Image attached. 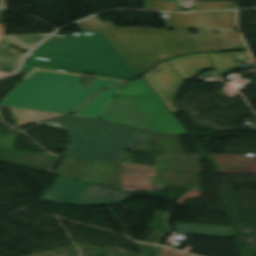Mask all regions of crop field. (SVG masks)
Wrapping results in <instances>:
<instances>
[{
	"mask_svg": "<svg viewBox=\"0 0 256 256\" xmlns=\"http://www.w3.org/2000/svg\"><path fill=\"white\" fill-rule=\"evenodd\" d=\"M10 44L17 46L26 51L30 50L23 45L15 42L14 40L4 36L0 41V71L13 72L18 66V62L21 55L17 56L14 54L3 52Z\"/></svg>",
	"mask_w": 256,
	"mask_h": 256,
	"instance_id": "13",
	"label": "crop field"
},
{
	"mask_svg": "<svg viewBox=\"0 0 256 256\" xmlns=\"http://www.w3.org/2000/svg\"><path fill=\"white\" fill-rule=\"evenodd\" d=\"M164 21L168 30L173 27L176 30H187L197 28L200 31L206 30H235V11L197 13V14H167Z\"/></svg>",
	"mask_w": 256,
	"mask_h": 256,
	"instance_id": "5",
	"label": "crop field"
},
{
	"mask_svg": "<svg viewBox=\"0 0 256 256\" xmlns=\"http://www.w3.org/2000/svg\"><path fill=\"white\" fill-rule=\"evenodd\" d=\"M4 35H0V40H1V38L3 37Z\"/></svg>",
	"mask_w": 256,
	"mask_h": 256,
	"instance_id": "25",
	"label": "crop field"
},
{
	"mask_svg": "<svg viewBox=\"0 0 256 256\" xmlns=\"http://www.w3.org/2000/svg\"><path fill=\"white\" fill-rule=\"evenodd\" d=\"M101 119L148 130L132 97H116Z\"/></svg>",
	"mask_w": 256,
	"mask_h": 256,
	"instance_id": "8",
	"label": "crop field"
},
{
	"mask_svg": "<svg viewBox=\"0 0 256 256\" xmlns=\"http://www.w3.org/2000/svg\"><path fill=\"white\" fill-rule=\"evenodd\" d=\"M190 52L228 51L246 49L239 34L235 31H211L189 34L181 31Z\"/></svg>",
	"mask_w": 256,
	"mask_h": 256,
	"instance_id": "7",
	"label": "crop field"
},
{
	"mask_svg": "<svg viewBox=\"0 0 256 256\" xmlns=\"http://www.w3.org/2000/svg\"><path fill=\"white\" fill-rule=\"evenodd\" d=\"M131 194L90 185L75 201V205H101L127 200Z\"/></svg>",
	"mask_w": 256,
	"mask_h": 256,
	"instance_id": "10",
	"label": "crop field"
},
{
	"mask_svg": "<svg viewBox=\"0 0 256 256\" xmlns=\"http://www.w3.org/2000/svg\"><path fill=\"white\" fill-rule=\"evenodd\" d=\"M174 56H177V55L151 54V55L129 56V57H125V58L140 74V73L154 67L161 60H164V59H167L170 57H174Z\"/></svg>",
	"mask_w": 256,
	"mask_h": 256,
	"instance_id": "14",
	"label": "crop field"
},
{
	"mask_svg": "<svg viewBox=\"0 0 256 256\" xmlns=\"http://www.w3.org/2000/svg\"><path fill=\"white\" fill-rule=\"evenodd\" d=\"M5 74H8V73L0 72V76L5 75Z\"/></svg>",
	"mask_w": 256,
	"mask_h": 256,
	"instance_id": "24",
	"label": "crop field"
},
{
	"mask_svg": "<svg viewBox=\"0 0 256 256\" xmlns=\"http://www.w3.org/2000/svg\"><path fill=\"white\" fill-rule=\"evenodd\" d=\"M0 22H4L3 11H0Z\"/></svg>",
	"mask_w": 256,
	"mask_h": 256,
	"instance_id": "21",
	"label": "crop field"
},
{
	"mask_svg": "<svg viewBox=\"0 0 256 256\" xmlns=\"http://www.w3.org/2000/svg\"><path fill=\"white\" fill-rule=\"evenodd\" d=\"M11 111L18 127L32 121L62 115V114L38 112V111L15 109V108H11Z\"/></svg>",
	"mask_w": 256,
	"mask_h": 256,
	"instance_id": "15",
	"label": "crop field"
},
{
	"mask_svg": "<svg viewBox=\"0 0 256 256\" xmlns=\"http://www.w3.org/2000/svg\"><path fill=\"white\" fill-rule=\"evenodd\" d=\"M178 234L234 237L231 227L177 223Z\"/></svg>",
	"mask_w": 256,
	"mask_h": 256,
	"instance_id": "12",
	"label": "crop field"
},
{
	"mask_svg": "<svg viewBox=\"0 0 256 256\" xmlns=\"http://www.w3.org/2000/svg\"><path fill=\"white\" fill-rule=\"evenodd\" d=\"M89 184L59 177L42 199L73 204Z\"/></svg>",
	"mask_w": 256,
	"mask_h": 256,
	"instance_id": "9",
	"label": "crop field"
},
{
	"mask_svg": "<svg viewBox=\"0 0 256 256\" xmlns=\"http://www.w3.org/2000/svg\"><path fill=\"white\" fill-rule=\"evenodd\" d=\"M246 57H249V55L228 54L190 57L164 65L145 81L167 108L170 109L175 107L173 101L183 80L193 77L208 68L216 70L217 74L222 76L238 68L235 59L244 60Z\"/></svg>",
	"mask_w": 256,
	"mask_h": 256,
	"instance_id": "4",
	"label": "crop field"
},
{
	"mask_svg": "<svg viewBox=\"0 0 256 256\" xmlns=\"http://www.w3.org/2000/svg\"><path fill=\"white\" fill-rule=\"evenodd\" d=\"M146 8L151 10H180L175 0H145Z\"/></svg>",
	"mask_w": 256,
	"mask_h": 256,
	"instance_id": "17",
	"label": "crop field"
},
{
	"mask_svg": "<svg viewBox=\"0 0 256 256\" xmlns=\"http://www.w3.org/2000/svg\"><path fill=\"white\" fill-rule=\"evenodd\" d=\"M0 33H4V25L0 24Z\"/></svg>",
	"mask_w": 256,
	"mask_h": 256,
	"instance_id": "22",
	"label": "crop field"
},
{
	"mask_svg": "<svg viewBox=\"0 0 256 256\" xmlns=\"http://www.w3.org/2000/svg\"><path fill=\"white\" fill-rule=\"evenodd\" d=\"M180 111H181V110H179V109H177V108H175V109H171V110H170V112H171V113H174V112H180Z\"/></svg>",
	"mask_w": 256,
	"mask_h": 256,
	"instance_id": "23",
	"label": "crop field"
},
{
	"mask_svg": "<svg viewBox=\"0 0 256 256\" xmlns=\"http://www.w3.org/2000/svg\"><path fill=\"white\" fill-rule=\"evenodd\" d=\"M41 125L68 132L65 155L117 162L138 140H147L150 131L81 116L42 121ZM125 147L124 150H121Z\"/></svg>",
	"mask_w": 256,
	"mask_h": 256,
	"instance_id": "2",
	"label": "crop field"
},
{
	"mask_svg": "<svg viewBox=\"0 0 256 256\" xmlns=\"http://www.w3.org/2000/svg\"><path fill=\"white\" fill-rule=\"evenodd\" d=\"M224 8H239V6L227 1L198 2L197 5L193 6V10Z\"/></svg>",
	"mask_w": 256,
	"mask_h": 256,
	"instance_id": "18",
	"label": "crop field"
},
{
	"mask_svg": "<svg viewBox=\"0 0 256 256\" xmlns=\"http://www.w3.org/2000/svg\"><path fill=\"white\" fill-rule=\"evenodd\" d=\"M154 92V91H153ZM143 78L126 83L118 96H132L153 93Z\"/></svg>",
	"mask_w": 256,
	"mask_h": 256,
	"instance_id": "16",
	"label": "crop field"
},
{
	"mask_svg": "<svg viewBox=\"0 0 256 256\" xmlns=\"http://www.w3.org/2000/svg\"><path fill=\"white\" fill-rule=\"evenodd\" d=\"M82 32L104 31L123 56L140 54L188 53L180 31L165 32L149 28H117L97 17L78 24Z\"/></svg>",
	"mask_w": 256,
	"mask_h": 256,
	"instance_id": "3",
	"label": "crop field"
},
{
	"mask_svg": "<svg viewBox=\"0 0 256 256\" xmlns=\"http://www.w3.org/2000/svg\"><path fill=\"white\" fill-rule=\"evenodd\" d=\"M124 84H121L114 88L108 89V90L102 92L101 94L97 95L88 104H86L82 109H80L78 112H76L73 115H81V116L100 118V116L103 114V112L109 106V104L113 101V99L117 96L119 91L122 89Z\"/></svg>",
	"mask_w": 256,
	"mask_h": 256,
	"instance_id": "11",
	"label": "crop field"
},
{
	"mask_svg": "<svg viewBox=\"0 0 256 256\" xmlns=\"http://www.w3.org/2000/svg\"><path fill=\"white\" fill-rule=\"evenodd\" d=\"M133 97L149 130L173 135L187 133L156 94Z\"/></svg>",
	"mask_w": 256,
	"mask_h": 256,
	"instance_id": "6",
	"label": "crop field"
},
{
	"mask_svg": "<svg viewBox=\"0 0 256 256\" xmlns=\"http://www.w3.org/2000/svg\"><path fill=\"white\" fill-rule=\"evenodd\" d=\"M80 77L36 70L0 105L67 114L81 106L99 90L122 82L98 78L84 88L82 84L75 83Z\"/></svg>",
	"mask_w": 256,
	"mask_h": 256,
	"instance_id": "1",
	"label": "crop field"
},
{
	"mask_svg": "<svg viewBox=\"0 0 256 256\" xmlns=\"http://www.w3.org/2000/svg\"><path fill=\"white\" fill-rule=\"evenodd\" d=\"M47 34H39V35H18V36H11L20 42L32 47L35 45L39 40L45 37Z\"/></svg>",
	"mask_w": 256,
	"mask_h": 256,
	"instance_id": "19",
	"label": "crop field"
},
{
	"mask_svg": "<svg viewBox=\"0 0 256 256\" xmlns=\"http://www.w3.org/2000/svg\"><path fill=\"white\" fill-rule=\"evenodd\" d=\"M227 53H249V52H248V51H241V52H227ZM227 53H214V54H227ZM214 54H188V55H185V56H181V57H178V58H175V59H171V60L162 62V63H160L155 69H153V70L150 71L149 73L143 75V78H144V80H145L150 74H152L153 72L157 71V70L160 69L164 64H166V63H168V62L175 61V60H179V59L186 58V57H190V56L214 55Z\"/></svg>",
	"mask_w": 256,
	"mask_h": 256,
	"instance_id": "20",
	"label": "crop field"
}]
</instances>
